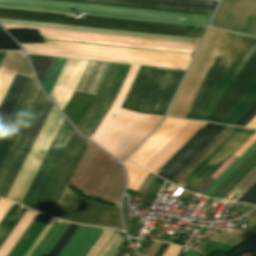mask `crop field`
Returning <instances> with one entry per match:
<instances>
[{
    "label": "crop field",
    "instance_id": "29",
    "mask_svg": "<svg viewBox=\"0 0 256 256\" xmlns=\"http://www.w3.org/2000/svg\"><path fill=\"white\" fill-rule=\"evenodd\" d=\"M34 69L36 71V74L38 76V79L40 83L42 84L45 75L50 67V64L54 57H48V56H35V55H28Z\"/></svg>",
    "mask_w": 256,
    "mask_h": 256
},
{
    "label": "crop field",
    "instance_id": "25",
    "mask_svg": "<svg viewBox=\"0 0 256 256\" xmlns=\"http://www.w3.org/2000/svg\"><path fill=\"white\" fill-rule=\"evenodd\" d=\"M18 208L19 205L15 204V206L12 208V210L9 212L7 217L0 225V246L5 241L10 232L13 230V228L16 226L21 217L24 215V213L27 211L26 208H23L22 211L18 214L16 212Z\"/></svg>",
    "mask_w": 256,
    "mask_h": 256
},
{
    "label": "crop field",
    "instance_id": "35",
    "mask_svg": "<svg viewBox=\"0 0 256 256\" xmlns=\"http://www.w3.org/2000/svg\"><path fill=\"white\" fill-rule=\"evenodd\" d=\"M164 180L160 178H156V180L152 183L149 190L147 191L146 195L144 196V199H153L155 194L157 193L158 189L162 185Z\"/></svg>",
    "mask_w": 256,
    "mask_h": 256
},
{
    "label": "crop field",
    "instance_id": "3",
    "mask_svg": "<svg viewBox=\"0 0 256 256\" xmlns=\"http://www.w3.org/2000/svg\"><path fill=\"white\" fill-rule=\"evenodd\" d=\"M0 6L81 15H97L201 27H205L210 18L206 16L176 14L50 0H0Z\"/></svg>",
    "mask_w": 256,
    "mask_h": 256
},
{
    "label": "crop field",
    "instance_id": "24",
    "mask_svg": "<svg viewBox=\"0 0 256 256\" xmlns=\"http://www.w3.org/2000/svg\"><path fill=\"white\" fill-rule=\"evenodd\" d=\"M255 94L256 80L244 93V95L238 100V102L233 106V108L227 113V115L222 119L220 123L231 124L233 120L238 116V114L249 103V101L254 97Z\"/></svg>",
    "mask_w": 256,
    "mask_h": 256
},
{
    "label": "crop field",
    "instance_id": "11",
    "mask_svg": "<svg viewBox=\"0 0 256 256\" xmlns=\"http://www.w3.org/2000/svg\"><path fill=\"white\" fill-rule=\"evenodd\" d=\"M34 79L32 73L0 134V166L40 90Z\"/></svg>",
    "mask_w": 256,
    "mask_h": 256
},
{
    "label": "crop field",
    "instance_id": "1",
    "mask_svg": "<svg viewBox=\"0 0 256 256\" xmlns=\"http://www.w3.org/2000/svg\"><path fill=\"white\" fill-rule=\"evenodd\" d=\"M214 32L207 31L168 113H176ZM225 33L216 30L176 115H168L186 117ZM255 48V38L226 33L186 118L204 120Z\"/></svg>",
    "mask_w": 256,
    "mask_h": 256
},
{
    "label": "crop field",
    "instance_id": "33",
    "mask_svg": "<svg viewBox=\"0 0 256 256\" xmlns=\"http://www.w3.org/2000/svg\"><path fill=\"white\" fill-rule=\"evenodd\" d=\"M256 115V100L233 125L245 126Z\"/></svg>",
    "mask_w": 256,
    "mask_h": 256
},
{
    "label": "crop field",
    "instance_id": "38",
    "mask_svg": "<svg viewBox=\"0 0 256 256\" xmlns=\"http://www.w3.org/2000/svg\"><path fill=\"white\" fill-rule=\"evenodd\" d=\"M167 246H168V244L162 243V245L160 246V248L158 249V251L156 252V254L154 256H161Z\"/></svg>",
    "mask_w": 256,
    "mask_h": 256
},
{
    "label": "crop field",
    "instance_id": "27",
    "mask_svg": "<svg viewBox=\"0 0 256 256\" xmlns=\"http://www.w3.org/2000/svg\"><path fill=\"white\" fill-rule=\"evenodd\" d=\"M123 165L128 175L127 188L137 191V189L139 188V186L147 176L148 172L136 167L137 165L135 166L127 161H125Z\"/></svg>",
    "mask_w": 256,
    "mask_h": 256
},
{
    "label": "crop field",
    "instance_id": "41",
    "mask_svg": "<svg viewBox=\"0 0 256 256\" xmlns=\"http://www.w3.org/2000/svg\"><path fill=\"white\" fill-rule=\"evenodd\" d=\"M183 249H184V247H182V249L180 250V252H179V254H178L177 256H184V255H185V253H184V252H182V251H183Z\"/></svg>",
    "mask_w": 256,
    "mask_h": 256
},
{
    "label": "crop field",
    "instance_id": "17",
    "mask_svg": "<svg viewBox=\"0 0 256 256\" xmlns=\"http://www.w3.org/2000/svg\"><path fill=\"white\" fill-rule=\"evenodd\" d=\"M100 231L98 228L79 226L58 256H83Z\"/></svg>",
    "mask_w": 256,
    "mask_h": 256
},
{
    "label": "crop field",
    "instance_id": "36",
    "mask_svg": "<svg viewBox=\"0 0 256 256\" xmlns=\"http://www.w3.org/2000/svg\"><path fill=\"white\" fill-rule=\"evenodd\" d=\"M162 1L182 2V3L211 5V6H215L217 3V1H212V0H162Z\"/></svg>",
    "mask_w": 256,
    "mask_h": 256
},
{
    "label": "crop field",
    "instance_id": "34",
    "mask_svg": "<svg viewBox=\"0 0 256 256\" xmlns=\"http://www.w3.org/2000/svg\"><path fill=\"white\" fill-rule=\"evenodd\" d=\"M237 202L256 204V183Z\"/></svg>",
    "mask_w": 256,
    "mask_h": 256
},
{
    "label": "crop field",
    "instance_id": "44",
    "mask_svg": "<svg viewBox=\"0 0 256 256\" xmlns=\"http://www.w3.org/2000/svg\"><path fill=\"white\" fill-rule=\"evenodd\" d=\"M203 255V254H202ZM200 253H199V255L198 256H202Z\"/></svg>",
    "mask_w": 256,
    "mask_h": 256
},
{
    "label": "crop field",
    "instance_id": "22",
    "mask_svg": "<svg viewBox=\"0 0 256 256\" xmlns=\"http://www.w3.org/2000/svg\"><path fill=\"white\" fill-rule=\"evenodd\" d=\"M68 226L69 223L57 220L32 256H47Z\"/></svg>",
    "mask_w": 256,
    "mask_h": 256
},
{
    "label": "crop field",
    "instance_id": "16",
    "mask_svg": "<svg viewBox=\"0 0 256 256\" xmlns=\"http://www.w3.org/2000/svg\"><path fill=\"white\" fill-rule=\"evenodd\" d=\"M47 97L44 95V93L41 91L25 125L23 126L8 158L6 159L1 171H0V189L13 165V163L15 162L29 132L31 131L45 101H46Z\"/></svg>",
    "mask_w": 256,
    "mask_h": 256
},
{
    "label": "crop field",
    "instance_id": "9",
    "mask_svg": "<svg viewBox=\"0 0 256 256\" xmlns=\"http://www.w3.org/2000/svg\"><path fill=\"white\" fill-rule=\"evenodd\" d=\"M247 0H222L210 26L227 30ZM229 31L256 37V0H248Z\"/></svg>",
    "mask_w": 256,
    "mask_h": 256
},
{
    "label": "crop field",
    "instance_id": "31",
    "mask_svg": "<svg viewBox=\"0 0 256 256\" xmlns=\"http://www.w3.org/2000/svg\"><path fill=\"white\" fill-rule=\"evenodd\" d=\"M77 228V225L70 224L48 256H57Z\"/></svg>",
    "mask_w": 256,
    "mask_h": 256
},
{
    "label": "crop field",
    "instance_id": "5",
    "mask_svg": "<svg viewBox=\"0 0 256 256\" xmlns=\"http://www.w3.org/2000/svg\"><path fill=\"white\" fill-rule=\"evenodd\" d=\"M0 18L39 21L48 23L98 27L107 29L147 32L156 34L200 38L204 29L201 27L101 18L83 16L82 19L65 17L63 14L0 8Z\"/></svg>",
    "mask_w": 256,
    "mask_h": 256
},
{
    "label": "crop field",
    "instance_id": "10",
    "mask_svg": "<svg viewBox=\"0 0 256 256\" xmlns=\"http://www.w3.org/2000/svg\"><path fill=\"white\" fill-rule=\"evenodd\" d=\"M2 25L6 29L39 30L41 35H46V36L87 39V40H97V41H107V42H118V43H128V44H138V45H148V46H159V47H169V48H179V49H189V50H194L197 45V44H193V43L133 38V37H124V36L74 32V31L5 25V24H2Z\"/></svg>",
    "mask_w": 256,
    "mask_h": 256
},
{
    "label": "crop field",
    "instance_id": "13",
    "mask_svg": "<svg viewBox=\"0 0 256 256\" xmlns=\"http://www.w3.org/2000/svg\"><path fill=\"white\" fill-rule=\"evenodd\" d=\"M225 126L207 123L162 169L158 176L171 181Z\"/></svg>",
    "mask_w": 256,
    "mask_h": 256
},
{
    "label": "crop field",
    "instance_id": "7",
    "mask_svg": "<svg viewBox=\"0 0 256 256\" xmlns=\"http://www.w3.org/2000/svg\"><path fill=\"white\" fill-rule=\"evenodd\" d=\"M53 215L68 221L122 229L117 208L79 198L68 187Z\"/></svg>",
    "mask_w": 256,
    "mask_h": 256
},
{
    "label": "crop field",
    "instance_id": "28",
    "mask_svg": "<svg viewBox=\"0 0 256 256\" xmlns=\"http://www.w3.org/2000/svg\"><path fill=\"white\" fill-rule=\"evenodd\" d=\"M65 60L66 59L55 57L51 64V67L46 75V78H45L43 84H42L43 89L46 91V93L48 95L58 77V74H59Z\"/></svg>",
    "mask_w": 256,
    "mask_h": 256
},
{
    "label": "crop field",
    "instance_id": "2",
    "mask_svg": "<svg viewBox=\"0 0 256 256\" xmlns=\"http://www.w3.org/2000/svg\"><path fill=\"white\" fill-rule=\"evenodd\" d=\"M139 67L131 66L112 108L90 138L119 161L123 160L162 118L120 108Z\"/></svg>",
    "mask_w": 256,
    "mask_h": 256
},
{
    "label": "crop field",
    "instance_id": "8",
    "mask_svg": "<svg viewBox=\"0 0 256 256\" xmlns=\"http://www.w3.org/2000/svg\"><path fill=\"white\" fill-rule=\"evenodd\" d=\"M74 131L75 130L73 129V127L64 118L44 160L42 161L22 201V204L33 209L35 208Z\"/></svg>",
    "mask_w": 256,
    "mask_h": 256
},
{
    "label": "crop field",
    "instance_id": "20",
    "mask_svg": "<svg viewBox=\"0 0 256 256\" xmlns=\"http://www.w3.org/2000/svg\"><path fill=\"white\" fill-rule=\"evenodd\" d=\"M27 80V77L15 74L1 104H0V132Z\"/></svg>",
    "mask_w": 256,
    "mask_h": 256
},
{
    "label": "crop field",
    "instance_id": "42",
    "mask_svg": "<svg viewBox=\"0 0 256 256\" xmlns=\"http://www.w3.org/2000/svg\"><path fill=\"white\" fill-rule=\"evenodd\" d=\"M4 53H5V51H0V61H1V59H2V57H3V55H4Z\"/></svg>",
    "mask_w": 256,
    "mask_h": 256
},
{
    "label": "crop field",
    "instance_id": "15",
    "mask_svg": "<svg viewBox=\"0 0 256 256\" xmlns=\"http://www.w3.org/2000/svg\"><path fill=\"white\" fill-rule=\"evenodd\" d=\"M52 106L53 105L47 99V101H46V103H45V105H44V107H43V109H42V111H41L33 129H32V131L30 132V134H29V136H28V138H27V140H26V142H25V144H24L16 162L14 163V165H13V167H12V169H11V171H10V173H9V175H8V177H7L5 183H4V185H3V187L0 191V196L6 198L8 192H9V190H10V188H11V186H12V184H13V182H14V180H15V178H16L19 170H20V168L22 167V165H23V163H24V161H25V159H26V157H27L35 139H36V137L38 136V134H39V132H40V130H41V128H42V126H43V124H44V122H45V120H46V118H47V116H48V114L51 110V108H52Z\"/></svg>",
    "mask_w": 256,
    "mask_h": 256
},
{
    "label": "crop field",
    "instance_id": "4",
    "mask_svg": "<svg viewBox=\"0 0 256 256\" xmlns=\"http://www.w3.org/2000/svg\"><path fill=\"white\" fill-rule=\"evenodd\" d=\"M184 70L141 66L122 108L163 115Z\"/></svg>",
    "mask_w": 256,
    "mask_h": 256
},
{
    "label": "crop field",
    "instance_id": "39",
    "mask_svg": "<svg viewBox=\"0 0 256 256\" xmlns=\"http://www.w3.org/2000/svg\"><path fill=\"white\" fill-rule=\"evenodd\" d=\"M152 243H153V241H147L146 245L144 246V248L142 249V251L140 253L142 256H144L146 254V252L148 251V249Z\"/></svg>",
    "mask_w": 256,
    "mask_h": 256
},
{
    "label": "crop field",
    "instance_id": "40",
    "mask_svg": "<svg viewBox=\"0 0 256 256\" xmlns=\"http://www.w3.org/2000/svg\"><path fill=\"white\" fill-rule=\"evenodd\" d=\"M198 252L189 249V251L187 252V254L185 256H197Z\"/></svg>",
    "mask_w": 256,
    "mask_h": 256
},
{
    "label": "crop field",
    "instance_id": "6",
    "mask_svg": "<svg viewBox=\"0 0 256 256\" xmlns=\"http://www.w3.org/2000/svg\"><path fill=\"white\" fill-rule=\"evenodd\" d=\"M204 124L166 117L158 129L128 160L155 173Z\"/></svg>",
    "mask_w": 256,
    "mask_h": 256
},
{
    "label": "crop field",
    "instance_id": "23",
    "mask_svg": "<svg viewBox=\"0 0 256 256\" xmlns=\"http://www.w3.org/2000/svg\"><path fill=\"white\" fill-rule=\"evenodd\" d=\"M98 1L158 6V7L178 8V9L208 11V12H212L214 9V7H211V6L191 5V4L152 1V0H98Z\"/></svg>",
    "mask_w": 256,
    "mask_h": 256
},
{
    "label": "crop field",
    "instance_id": "14",
    "mask_svg": "<svg viewBox=\"0 0 256 256\" xmlns=\"http://www.w3.org/2000/svg\"><path fill=\"white\" fill-rule=\"evenodd\" d=\"M256 131L242 129L213 159H211L183 188L195 192L232 154Z\"/></svg>",
    "mask_w": 256,
    "mask_h": 256
},
{
    "label": "crop field",
    "instance_id": "21",
    "mask_svg": "<svg viewBox=\"0 0 256 256\" xmlns=\"http://www.w3.org/2000/svg\"><path fill=\"white\" fill-rule=\"evenodd\" d=\"M233 128L226 126L171 182L177 185Z\"/></svg>",
    "mask_w": 256,
    "mask_h": 256
},
{
    "label": "crop field",
    "instance_id": "45",
    "mask_svg": "<svg viewBox=\"0 0 256 256\" xmlns=\"http://www.w3.org/2000/svg\"><path fill=\"white\" fill-rule=\"evenodd\" d=\"M135 256H138L137 254Z\"/></svg>",
    "mask_w": 256,
    "mask_h": 256
},
{
    "label": "crop field",
    "instance_id": "12",
    "mask_svg": "<svg viewBox=\"0 0 256 256\" xmlns=\"http://www.w3.org/2000/svg\"><path fill=\"white\" fill-rule=\"evenodd\" d=\"M256 79V50L229 85L211 112L206 121L219 123L237 100Z\"/></svg>",
    "mask_w": 256,
    "mask_h": 256
},
{
    "label": "crop field",
    "instance_id": "26",
    "mask_svg": "<svg viewBox=\"0 0 256 256\" xmlns=\"http://www.w3.org/2000/svg\"><path fill=\"white\" fill-rule=\"evenodd\" d=\"M235 127L182 181L188 182L213 156H215L239 131Z\"/></svg>",
    "mask_w": 256,
    "mask_h": 256
},
{
    "label": "crop field",
    "instance_id": "37",
    "mask_svg": "<svg viewBox=\"0 0 256 256\" xmlns=\"http://www.w3.org/2000/svg\"><path fill=\"white\" fill-rule=\"evenodd\" d=\"M155 178L156 176L149 173L145 181L142 183V185L138 189V192L146 193V191L148 190L149 186L151 185V183L154 181Z\"/></svg>",
    "mask_w": 256,
    "mask_h": 256
},
{
    "label": "crop field",
    "instance_id": "43",
    "mask_svg": "<svg viewBox=\"0 0 256 256\" xmlns=\"http://www.w3.org/2000/svg\"><path fill=\"white\" fill-rule=\"evenodd\" d=\"M41 37H42V39H43V42H45L44 37H43V36H41ZM45 43H46V42H45ZM193 52H194V51H192L191 56H192ZM191 56H190V57H191Z\"/></svg>",
    "mask_w": 256,
    "mask_h": 256
},
{
    "label": "crop field",
    "instance_id": "19",
    "mask_svg": "<svg viewBox=\"0 0 256 256\" xmlns=\"http://www.w3.org/2000/svg\"><path fill=\"white\" fill-rule=\"evenodd\" d=\"M57 111L58 110L53 106V108H52V110H51V112H50V114H49V116H48L40 134H39V136L37 137L32 149H31V151H30V153H29V155H28V157H27V159H26V161L23 165V167L21 168V170H20V172H19V174H18V176H17V178H16L8 196H7V199L13 200V198H14V196H15V194H16V192H17V190H18V188H19V186H20V184H21V182H22V180H23V178H24L32 160H33V158H34V156L36 155V153H37V151H38V149H39V147H40V145H41V143H42V141H43V139H44V137H45V135H46V133H47L54 117H55V115H56V113H57Z\"/></svg>",
    "mask_w": 256,
    "mask_h": 256
},
{
    "label": "crop field",
    "instance_id": "32",
    "mask_svg": "<svg viewBox=\"0 0 256 256\" xmlns=\"http://www.w3.org/2000/svg\"><path fill=\"white\" fill-rule=\"evenodd\" d=\"M238 156H232L222 167L195 193L201 195L236 159Z\"/></svg>",
    "mask_w": 256,
    "mask_h": 256
},
{
    "label": "crop field",
    "instance_id": "18",
    "mask_svg": "<svg viewBox=\"0 0 256 256\" xmlns=\"http://www.w3.org/2000/svg\"><path fill=\"white\" fill-rule=\"evenodd\" d=\"M109 64L89 61L75 90L94 95Z\"/></svg>",
    "mask_w": 256,
    "mask_h": 256
},
{
    "label": "crop field",
    "instance_id": "30",
    "mask_svg": "<svg viewBox=\"0 0 256 256\" xmlns=\"http://www.w3.org/2000/svg\"><path fill=\"white\" fill-rule=\"evenodd\" d=\"M256 149V142L234 163L229 169L202 195L208 196L239 164H241L254 150Z\"/></svg>",
    "mask_w": 256,
    "mask_h": 256
}]
</instances>
